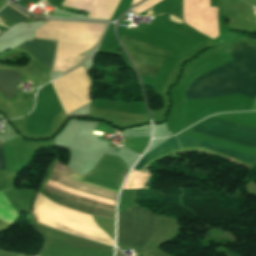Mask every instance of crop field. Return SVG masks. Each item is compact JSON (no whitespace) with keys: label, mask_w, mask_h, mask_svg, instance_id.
Segmentation results:
<instances>
[{"label":"crop field","mask_w":256,"mask_h":256,"mask_svg":"<svg viewBox=\"0 0 256 256\" xmlns=\"http://www.w3.org/2000/svg\"><path fill=\"white\" fill-rule=\"evenodd\" d=\"M119 0H65L63 5L90 11L88 17L110 20Z\"/></svg>","instance_id":"8"},{"label":"crop field","mask_w":256,"mask_h":256,"mask_svg":"<svg viewBox=\"0 0 256 256\" xmlns=\"http://www.w3.org/2000/svg\"><path fill=\"white\" fill-rule=\"evenodd\" d=\"M22 82L23 81L19 73L9 70L0 71V92L8 100L18 91L17 84Z\"/></svg>","instance_id":"10"},{"label":"crop field","mask_w":256,"mask_h":256,"mask_svg":"<svg viewBox=\"0 0 256 256\" xmlns=\"http://www.w3.org/2000/svg\"><path fill=\"white\" fill-rule=\"evenodd\" d=\"M53 171L58 172V173H60L62 175H65V176L75 178L79 181H81V179H82V176H79V175L73 173L70 169H68L66 166H64L60 162H57ZM55 172H53L51 177H50V180H52L54 182H57L59 184L65 185L67 187L73 188V189L78 190V191H82V192H85V193H88V194H92V195H96V196H100V197H103V198H107V199H111V200L116 201V195H117L118 190H113V191H117V192H113V191H110L111 189L106 190L108 188H106V189L99 188L101 186L95 187L97 185H95V186H92L94 184L88 185L90 183L85 184L87 182L82 183L83 181L79 182L75 179L59 175ZM48 183L46 184L47 186L52 187L54 189H57L59 191H62L64 193L115 206V204H113V203L97 200V199L90 198V197H87V196H84V195H80V194H77V193H74V192H70V191L64 190L65 188L62 189V188L56 187L57 185L53 186L54 184L51 185V184H48ZM47 186L45 187L44 190L49 191L51 193H54V194L59 195V196L64 197V198H68V199L78 201V202H81V203H84V204H88V205H92V206H96V207H100V208H104V209H108V210H112V211L115 208L113 206H109V205H105V204L85 200V199H82V198H78V197H75V196L67 195V194L59 192L57 190H54L52 188H49ZM44 190L42 191L41 195H43L44 197H46L47 199H49L50 201H52L56 204H59V205H62V206H65V207H68V208H71V209H75V210H78V211H81V212H84V213H88V214H92V215H95V216H99V217H103V218H107V219L112 220V218H111L112 211H108V210H104V209L84 205V204H81V203H77V202H74V201H71V200H67V199L61 198L59 196H56L54 194H51L49 192H46Z\"/></svg>","instance_id":"3"},{"label":"crop field","mask_w":256,"mask_h":256,"mask_svg":"<svg viewBox=\"0 0 256 256\" xmlns=\"http://www.w3.org/2000/svg\"><path fill=\"white\" fill-rule=\"evenodd\" d=\"M119 219L118 241L140 247L144 246L158 225V218L134 206L119 213Z\"/></svg>","instance_id":"5"},{"label":"crop field","mask_w":256,"mask_h":256,"mask_svg":"<svg viewBox=\"0 0 256 256\" xmlns=\"http://www.w3.org/2000/svg\"><path fill=\"white\" fill-rule=\"evenodd\" d=\"M145 255V254H144ZM145 256H147V255H145Z\"/></svg>","instance_id":"14"},{"label":"crop field","mask_w":256,"mask_h":256,"mask_svg":"<svg viewBox=\"0 0 256 256\" xmlns=\"http://www.w3.org/2000/svg\"><path fill=\"white\" fill-rule=\"evenodd\" d=\"M51 83L61 101L65 114L89 103V79L82 65Z\"/></svg>","instance_id":"6"},{"label":"crop field","mask_w":256,"mask_h":256,"mask_svg":"<svg viewBox=\"0 0 256 256\" xmlns=\"http://www.w3.org/2000/svg\"><path fill=\"white\" fill-rule=\"evenodd\" d=\"M0 170H5L3 145L0 146Z\"/></svg>","instance_id":"12"},{"label":"crop field","mask_w":256,"mask_h":256,"mask_svg":"<svg viewBox=\"0 0 256 256\" xmlns=\"http://www.w3.org/2000/svg\"><path fill=\"white\" fill-rule=\"evenodd\" d=\"M9 7H11L12 9L18 11L19 13L23 14L24 16L31 18V16L25 12H23L22 10H20L19 8H17L16 6H14L13 4H9L7 5ZM5 7L1 12H0V18L9 21L11 23L17 24L23 20H26L24 17H22L21 15H19L18 13H16L15 11H13L12 9H10L9 7ZM27 18V19H28Z\"/></svg>","instance_id":"11"},{"label":"crop field","mask_w":256,"mask_h":256,"mask_svg":"<svg viewBox=\"0 0 256 256\" xmlns=\"http://www.w3.org/2000/svg\"><path fill=\"white\" fill-rule=\"evenodd\" d=\"M133 6V4H131Z\"/></svg>","instance_id":"13"},{"label":"crop field","mask_w":256,"mask_h":256,"mask_svg":"<svg viewBox=\"0 0 256 256\" xmlns=\"http://www.w3.org/2000/svg\"><path fill=\"white\" fill-rule=\"evenodd\" d=\"M122 43L139 74L154 78L169 52L123 35Z\"/></svg>","instance_id":"7"},{"label":"crop field","mask_w":256,"mask_h":256,"mask_svg":"<svg viewBox=\"0 0 256 256\" xmlns=\"http://www.w3.org/2000/svg\"><path fill=\"white\" fill-rule=\"evenodd\" d=\"M55 44L54 42L34 39L31 42H24L17 48L25 49L34 55L38 60H40L45 66L50 68L52 58L55 54Z\"/></svg>","instance_id":"9"},{"label":"crop field","mask_w":256,"mask_h":256,"mask_svg":"<svg viewBox=\"0 0 256 256\" xmlns=\"http://www.w3.org/2000/svg\"><path fill=\"white\" fill-rule=\"evenodd\" d=\"M236 58L188 81V103L225 96H256V49L248 40L234 41Z\"/></svg>","instance_id":"1"},{"label":"crop field","mask_w":256,"mask_h":256,"mask_svg":"<svg viewBox=\"0 0 256 256\" xmlns=\"http://www.w3.org/2000/svg\"><path fill=\"white\" fill-rule=\"evenodd\" d=\"M190 132H194L200 135H204L256 151V127L254 126L216 117L202 124L201 126L191 130ZM191 147L220 153L228 157L252 164H254L256 160V158H252L246 155H242L236 152H232L226 149H222L216 146L176 135L144 155L135 169L141 171L142 167L145 164L155 158H158L167 153Z\"/></svg>","instance_id":"2"},{"label":"crop field","mask_w":256,"mask_h":256,"mask_svg":"<svg viewBox=\"0 0 256 256\" xmlns=\"http://www.w3.org/2000/svg\"><path fill=\"white\" fill-rule=\"evenodd\" d=\"M104 25L50 21L36 29L35 38L58 39L56 54L79 55L98 40Z\"/></svg>","instance_id":"4"}]
</instances>
